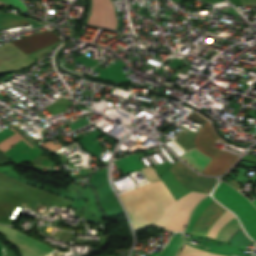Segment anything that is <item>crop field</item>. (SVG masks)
Returning a JSON list of instances; mask_svg holds the SVG:
<instances>
[{"label": "crop field", "instance_id": "crop-field-1", "mask_svg": "<svg viewBox=\"0 0 256 256\" xmlns=\"http://www.w3.org/2000/svg\"><path fill=\"white\" fill-rule=\"evenodd\" d=\"M206 195L191 191L176 202L160 181L120 197L131 214L136 231L154 225L172 231H182L191 211Z\"/></svg>", "mask_w": 256, "mask_h": 256}, {"label": "crop field", "instance_id": "crop-field-2", "mask_svg": "<svg viewBox=\"0 0 256 256\" xmlns=\"http://www.w3.org/2000/svg\"><path fill=\"white\" fill-rule=\"evenodd\" d=\"M22 202L33 206L37 202L64 207H69L71 204L67 199L29 187L0 173V223H4L15 207H20Z\"/></svg>", "mask_w": 256, "mask_h": 256}, {"label": "crop field", "instance_id": "crop-field-3", "mask_svg": "<svg viewBox=\"0 0 256 256\" xmlns=\"http://www.w3.org/2000/svg\"><path fill=\"white\" fill-rule=\"evenodd\" d=\"M219 139L214 133L209 122H205L193 139V143L200 151L211 158V162L206 166L202 173L207 175H219L226 171L238 157L214 147L213 142Z\"/></svg>", "mask_w": 256, "mask_h": 256}, {"label": "crop field", "instance_id": "crop-field-4", "mask_svg": "<svg viewBox=\"0 0 256 256\" xmlns=\"http://www.w3.org/2000/svg\"><path fill=\"white\" fill-rule=\"evenodd\" d=\"M213 196L238 215L247 233L256 240V209L248 199L223 182L220 183Z\"/></svg>", "mask_w": 256, "mask_h": 256}, {"label": "crop field", "instance_id": "crop-field-5", "mask_svg": "<svg viewBox=\"0 0 256 256\" xmlns=\"http://www.w3.org/2000/svg\"><path fill=\"white\" fill-rule=\"evenodd\" d=\"M0 234L4 235L7 240L18 246L21 256H45L53 248L43 245L37 240L23 235L22 233L5 226L0 225Z\"/></svg>", "mask_w": 256, "mask_h": 256}, {"label": "crop field", "instance_id": "crop-field-6", "mask_svg": "<svg viewBox=\"0 0 256 256\" xmlns=\"http://www.w3.org/2000/svg\"><path fill=\"white\" fill-rule=\"evenodd\" d=\"M175 177L188 189L209 194L217 184L216 178L199 176L178 160L169 168Z\"/></svg>", "mask_w": 256, "mask_h": 256}, {"label": "crop field", "instance_id": "crop-field-7", "mask_svg": "<svg viewBox=\"0 0 256 256\" xmlns=\"http://www.w3.org/2000/svg\"><path fill=\"white\" fill-rule=\"evenodd\" d=\"M117 19L110 0H93L89 24L116 29Z\"/></svg>", "mask_w": 256, "mask_h": 256}, {"label": "crop field", "instance_id": "crop-field-8", "mask_svg": "<svg viewBox=\"0 0 256 256\" xmlns=\"http://www.w3.org/2000/svg\"><path fill=\"white\" fill-rule=\"evenodd\" d=\"M91 182L98 190L103 206L111 215L124 212L108 183L107 174L95 175Z\"/></svg>", "mask_w": 256, "mask_h": 256}, {"label": "crop field", "instance_id": "crop-field-9", "mask_svg": "<svg viewBox=\"0 0 256 256\" xmlns=\"http://www.w3.org/2000/svg\"><path fill=\"white\" fill-rule=\"evenodd\" d=\"M59 40L60 38L52 31H46L30 37L13 40L11 42L22 52L27 54L39 50L45 46L51 45Z\"/></svg>", "mask_w": 256, "mask_h": 256}, {"label": "crop field", "instance_id": "crop-field-10", "mask_svg": "<svg viewBox=\"0 0 256 256\" xmlns=\"http://www.w3.org/2000/svg\"><path fill=\"white\" fill-rule=\"evenodd\" d=\"M226 210L217 202H212L198 219L192 234L206 236L210 227L224 214Z\"/></svg>", "mask_w": 256, "mask_h": 256}, {"label": "crop field", "instance_id": "crop-field-11", "mask_svg": "<svg viewBox=\"0 0 256 256\" xmlns=\"http://www.w3.org/2000/svg\"><path fill=\"white\" fill-rule=\"evenodd\" d=\"M180 158L200 172L211 160L210 157L202 154L197 147L186 151Z\"/></svg>", "mask_w": 256, "mask_h": 256}, {"label": "crop field", "instance_id": "crop-field-12", "mask_svg": "<svg viewBox=\"0 0 256 256\" xmlns=\"http://www.w3.org/2000/svg\"><path fill=\"white\" fill-rule=\"evenodd\" d=\"M33 23H37V22L31 19L22 18L13 13L0 14V29H7V28H12L17 26L33 24Z\"/></svg>", "mask_w": 256, "mask_h": 256}, {"label": "crop field", "instance_id": "crop-field-13", "mask_svg": "<svg viewBox=\"0 0 256 256\" xmlns=\"http://www.w3.org/2000/svg\"><path fill=\"white\" fill-rule=\"evenodd\" d=\"M114 163L119 168V170L124 173V175L144 167L139 158L135 154L129 155L125 158L118 159L114 161Z\"/></svg>", "mask_w": 256, "mask_h": 256}, {"label": "crop field", "instance_id": "crop-field-14", "mask_svg": "<svg viewBox=\"0 0 256 256\" xmlns=\"http://www.w3.org/2000/svg\"><path fill=\"white\" fill-rule=\"evenodd\" d=\"M241 228L236 217L233 218L230 222H228L225 226L220 230L217 239L226 241L228 240Z\"/></svg>", "mask_w": 256, "mask_h": 256}, {"label": "crop field", "instance_id": "crop-field-15", "mask_svg": "<svg viewBox=\"0 0 256 256\" xmlns=\"http://www.w3.org/2000/svg\"><path fill=\"white\" fill-rule=\"evenodd\" d=\"M183 241L176 235H173L168 245L163 252L150 254V256H174L180 247L183 245Z\"/></svg>", "mask_w": 256, "mask_h": 256}, {"label": "crop field", "instance_id": "crop-field-16", "mask_svg": "<svg viewBox=\"0 0 256 256\" xmlns=\"http://www.w3.org/2000/svg\"><path fill=\"white\" fill-rule=\"evenodd\" d=\"M213 199L208 196L206 197L204 200H202L195 208L192 216H191V219H190V222L188 224V228L187 230L185 231L186 233H191L192 232V229H193V226L195 224V222L197 221V219L199 218V216L201 215V213L204 211V209L210 204V202L212 201Z\"/></svg>", "mask_w": 256, "mask_h": 256}, {"label": "crop field", "instance_id": "crop-field-17", "mask_svg": "<svg viewBox=\"0 0 256 256\" xmlns=\"http://www.w3.org/2000/svg\"><path fill=\"white\" fill-rule=\"evenodd\" d=\"M233 217H235L234 215H232L230 212H226L209 230L208 232V237L211 238H216L219 230L221 229V227L226 224L229 220H231Z\"/></svg>", "mask_w": 256, "mask_h": 256}, {"label": "crop field", "instance_id": "crop-field-18", "mask_svg": "<svg viewBox=\"0 0 256 256\" xmlns=\"http://www.w3.org/2000/svg\"><path fill=\"white\" fill-rule=\"evenodd\" d=\"M178 256H223V255L210 254V253L197 250L195 248L185 245L183 250L180 252Z\"/></svg>", "mask_w": 256, "mask_h": 256}, {"label": "crop field", "instance_id": "crop-field-19", "mask_svg": "<svg viewBox=\"0 0 256 256\" xmlns=\"http://www.w3.org/2000/svg\"><path fill=\"white\" fill-rule=\"evenodd\" d=\"M31 149L26 143H24L23 141L20 142L19 144L13 146L12 148H10L9 150H7L6 152H4L5 154H7L9 157L13 158L27 150Z\"/></svg>", "mask_w": 256, "mask_h": 256}, {"label": "crop field", "instance_id": "crop-field-20", "mask_svg": "<svg viewBox=\"0 0 256 256\" xmlns=\"http://www.w3.org/2000/svg\"><path fill=\"white\" fill-rule=\"evenodd\" d=\"M10 4H13L15 7L20 8L22 11L27 10L25 5L20 0H1Z\"/></svg>", "mask_w": 256, "mask_h": 256}, {"label": "crop field", "instance_id": "crop-field-21", "mask_svg": "<svg viewBox=\"0 0 256 256\" xmlns=\"http://www.w3.org/2000/svg\"><path fill=\"white\" fill-rule=\"evenodd\" d=\"M244 5H254L256 6V0H242Z\"/></svg>", "mask_w": 256, "mask_h": 256}, {"label": "crop field", "instance_id": "crop-field-22", "mask_svg": "<svg viewBox=\"0 0 256 256\" xmlns=\"http://www.w3.org/2000/svg\"><path fill=\"white\" fill-rule=\"evenodd\" d=\"M243 159L256 163V157L253 156H245Z\"/></svg>", "mask_w": 256, "mask_h": 256}, {"label": "crop field", "instance_id": "crop-field-23", "mask_svg": "<svg viewBox=\"0 0 256 256\" xmlns=\"http://www.w3.org/2000/svg\"><path fill=\"white\" fill-rule=\"evenodd\" d=\"M253 204L256 206V201H253Z\"/></svg>", "mask_w": 256, "mask_h": 256}, {"label": "crop field", "instance_id": "crop-field-24", "mask_svg": "<svg viewBox=\"0 0 256 256\" xmlns=\"http://www.w3.org/2000/svg\"><path fill=\"white\" fill-rule=\"evenodd\" d=\"M231 256H233V255H231Z\"/></svg>", "mask_w": 256, "mask_h": 256}]
</instances>
